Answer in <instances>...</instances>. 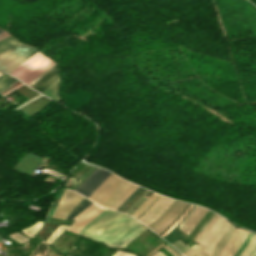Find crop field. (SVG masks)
<instances>
[{"label": "crop field", "instance_id": "obj_9", "mask_svg": "<svg viewBox=\"0 0 256 256\" xmlns=\"http://www.w3.org/2000/svg\"><path fill=\"white\" fill-rule=\"evenodd\" d=\"M72 193H73V192H71V191L65 190V192H64V194H63V196H62V198H61V201H60V203H59V205H58V207H57V209H56V211H55V213H54L53 216L58 217V218L61 217V215H62V213H63V211H64V209H65V207H66V205H67V203H68V201H69L71 195H72ZM75 194H76V193H73V195H72V197H71V199H70V201H69V203H68V205H67V207H66V209H65V211H64V213H63V215H62V217H61L62 219L64 218V216H65V214H66V212H67V210H68V208H69V206H70V204H71V202H72V200H73ZM78 196H79V195L76 194V196H75V198H74V200H73V202H72V204H71V206H70V208H69L67 214H69L70 210L73 208V206H74V204H75V202H76ZM79 198H80V196H79ZM79 198H78V200H79ZM83 199H84V198L81 196L79 202H80L81 200H83ZM78 200H77V202H78ZM77 202H76V204H77ZM79 202H78V203H79ZM67 214H66V216H67ZM66 216H65V218H66ZM65 218H64V219H65Z\"/></svg>", "mask_w": 256, "mask_h": 256}, {"label": "crop field", "instance_id": "obj_29", "mask_svg": "<svg viewBox=\"0 0 256 256\" xmlns=\"http://www.w3.org/2000/svg\"><path fill=\"white\" fill-rule=\"evenodd\" d=\"M215 213L212 212V214L209 216V218L206 220V222L204 223V225L202 226V228L200 229V232L201 230L206 226V224L210 221V219L213 217Z\"/></svg>", "mask_w": 256, "mask_h": 256}, {"label": "crop field", "instance_id": "obj_5", "mask_svg": "<svg viewBox=\"0 0 256 256\" xmlns=\"http://www.w3.org/2000/svg\"><path fill=\"white\" fill-rule=\"evenodd\" d=\"M111 174L97 167L76 191L88 198Z\"/></svg>", "mask_w": 256, "mask_h": 256}, {"label": "crop field", "instance_id": "obj_1", "mask_svg": "<svg viewBox=\"0 0 256 256\" xmlns=\"http://www.w3.org/2000/svg\"><path fill=\"white\" fill-rule=\"evenodd\" d=\"M133 218L106 209L79 233L97 241H104L110 247H124L143 230Z\"/></svg>", "mask_w": 256, "mask_h": 256}, {"label": "crop field", "instance_id": "obj_6", "mask_svg": "<svg viewBox=\"0 0 256 256\" xmlns=\"http://www.w3.org/2000/svg\"><path fill=\"white\" fill-rule=\"evenodd\" d=\"M244 230V229H243ZM241 229H237V231L234 233V235L231 237L229 242L224 247L223 251L221 252L220 256H228L234 248L238 245L240 239L242 238L245 231ZM248 234V231L245 232L243 238L241 239L239 245L235 248V250L229 255L233 256V254L238 250V248L242 245L243 241L245 240L246 236ZM256 246V234H254L253 238L251 239L250 243L246 247V249L243 251V253L240 256H248L251 251Z\"/></svg>", "mask_w": 256, "mask_h": 256}, {"label": "crop field", "instance_id": "obj_30", "mask_svg": "<svg viewBox=\"0 0 256 256\" xmlns=\"http://www.w3.org/2000/svg\"><path fill=\"white\" fill-rule=\"evenodd\" d=\"M6 36H8V34L6 32H4V33L0 34V39L4 38Z\"/></svg>", "mask_w": 256, "mask_h": 256}, {"label": "crop field", "instance_id": "obj_22", "mask_svg": "<svg viewBox=\"0 0 256 256\" xmlns=\"http://www.w3.org/2000/svg\"><path fill=\"white\" fill-rule=\"evenodd\" d=\"M174 245L177 249L180 248L181 246L185 245L182 241H177L176 243L172 244ZM189 247H187L186 245L183 246L182 248L178 249L181 253L184 252L186 249H188Z\"/></svg>", "mask_w": 256, "mask_h": 256}, {"label": "crop field", "instance_id": "obj_26", "mask_svg": "<svg viewBox=\"0 0 256 256\" xmlns=\"http://www.w3.org/2000/svg\"><path fill=\"white\" fill-rule=\"evenodd\" d=\"M196 208L197 206H195L194 209L190 212V214L179 224V229L189 219V217L192 215Z\"/></svg>", "mask_w": 256, "mask_h": 256}, {"label": "crop field", "instance_id": "obj_17", "mask_svg": "<svg viewBox=\"0 0 256 256\" xmlns=\"http://www.w3.org/2000/svg\"><path fill=\"white\" fill-rule=\"evenodd\" d=\"M19 43L13 37H9L0 41V52L4 51L5 49Z\"/></svg>", "mask_w": 256, "mask_h": 256}, {"label": "crop field", "instance_id": "obj_32", "mask_svg": "<svg viewBox=\"0 0 256 256\" xmlns=\"http://www.w3.org/2000/svg\"><path fill=\"white\" fill-rule=\"evenodd\" d=\"M255 250H256V248H255ZM255 250H254V251H255ZM254 251H253V253H254ZM253 253H252V254H253ZM252 254H251V255H252ZM251 255H250V256H251ZM255 255H256V253H255L253 256H255Z\"/></svg>", "mask_w": 256, "mask_h": 256}, {"label": "crop field", "instance_id": "obj_8", "mask_svg": "<svg viewBox=\"0 0 256 256\" xmlns=\"http://www.w3.org/2000/svg\"><path fill=\"white\" fill-rule=\"evenodd\" d=\"M177 203H178L177 201L173 202L170 208L167 211H165L155 222H153L148 227L153 230L158 224H160L166 218V216L173 210V208L177 205ZM182 205H183V202H179L178 205L175 207V209L167 216V218L159 226H157L153 231L156 232L160 230L179 211ZM185 206H186V203H184L181 210L159 232H157V234H159L162 230H164L181 213V211L184 209Z\"/></svg>", "mask_w": 256, "mask_h": 256}, {"label": "crop field", "instance_id": "obj_24", "mask_svg": "<svg viewBox=\"0 0 256 256\" xmlns=\"http://www.w3.org/2000/svg\"><path fill=\"white\" fill-rule=\"evenodd\" d=\"M55 63H51L48 67H46L35 79H33L28 85H32L40 76H42L50 67H52Z\"/></svg>", "mask_w": 256, "mask_h": 256}, {"label": "crop field", "instance_id": "obj_13", "mask_svg": "<svg viewBox=\"0 0 256 256\" xmlns=\"http://www.w3.org/2000/svg\"><path fill=\"white\" fill-rule=\"evenodd\" d=\"M236 230V227H234L232 224L231 226L228 228V230L226 231V233L224 234V236L222 237V239L219 241L218 245L216 246V248L214 249L213 253L211 256H218L221 249L225 246V244L228 242V240L230 239V237L232 236V234L234 233V231Z\"/></svg>", "mask_w": 256, "mask_h": 256}, {"label": "crop field", "instance_id": "obj_20", "mask_svg": "<svg viewBox=\"0 0 256 256\" xmlns=\"http://www.w3.org/2000/svg\"><path fill=\"white\" fill-rule=\"evenodd\" d=\"M95 168L92 166L71 188L75 190Z\"/></svg>", "mask_w": 256, "mask_h": 256}, {"label": "crop field", "instance_id": "obj_10", "mask_svg": "<svg viewBox=\"0 0 256 256\" xmlns=\"http://www.w3.org/2000/svg\"><path fill=\"white\" fill-rule=\"evenodd\" d=\"M174 200H170L166 197H163L154 207L153 209L140 221L145 225L151 224L155 221L173 202Z\"/></svg>", "mask_w": 256, "mask_h": 256}, {"label": "crop field", "instance_id": "obj_25", "mask_svg": "<svg viewBox=\"0 0 256 256\" xmlns=\"http://www.w3.org/2000/svg\"><path fill=\"white\" fill-rule=\"evenodd\" d=\"M140 189L141 187H139L117 210L120 211Z\"/></svg>", "mask_w": 256, "mask_h": 256}, {"label": "crop field", "instance_id": "obj_31", "mask_svg": "<svg viewBox=\"0 0 256 256\" xmlns=\"http://www.w3.org/2000/svg\"><path fill=\"white\" fill-rule=\"evenodd\" d=\"M155 256H166V255L161 253V252H159V253L155 254Z\"/></svg>", "mask_w": 256, "mask_h": 256}, {"label": "crop field", "instance_id": "obj_23", "mask_svg": "<svg viewBox=\"0 0 256 256\" xmlns=\"http://www.w3.org/2000/svg\"><path fill=\"white\" fill-rule=\"evenodd\" d=\"M148 192V190H146L126 211L125 213H129L132 208L143 198V196Z\"/></svg>", "mask_w": 256, "mask_h": 256}, {"label": "crop field", "instance_id": "obj_16", "mask_svg": "<svg viewBox=\"0 0 256 256\" xmlns=\"http://www.w3.org/2000/svg\"><path fill=\"white\" fill-rule=\"evenodd\" d=\"M17 80L9 75L8 76L5 74L1 75L0 76V92L5 88L9 87L10 85H12L13 83H15Z\"/></svg>", "mask_w": 256, "mask_h": 256}, {"label": "crop field", "instance_id": "obj_18", "mask_svg": "<svg viewBox=\"0 0 256 256\" xmlns=\"http://www.w3.org/2000/svg\"><path fill=\"white\" fill-rule=\"evenodd\" d=\"M43 222L41 221H38L36 224L26 228V229H23L22 232L29 236V237H32L33 234L42 226Z\"/></svg>", "mask_w": 256, "mask_h": 256}, {"label": "crop field", "instance_id": "obj_7", "mask_svg": "<svg viewBox=\"0 0 256 256\" xmlns=\"http://www.w3.org/2000/svg\"><path fill=\"white\" fill-rule=\"evenodd\" d=\"M104 208H100L95 204H91L85 210H83L78 216L74 218L76 220L71 227H69L66 231L78 234L80 230L92 219H94L97 215H99Z\"/></svg>", "mask_w": 256, "mask_h": 256}, {"label": "crop field", "instance_id": "obj_2", "mask_svg": "<svg viewBox=\"0 0 256 256\" xmlns=\"http://www.w3.org/2000/svg\"><path fill=\"white\" fill-rule=\"evenodd\" d=\"M137 188L112 174L89 199L116 210Z\"/></svg>", "mask_w": 256, "mask_h": 256}, {"label": "crop field", "instance_id": "obj_27", "mask_svg": "<svg viewBox=\"0 0 256 256\" xmlns=\"http://www.w3.org/2000/svg\"><path fill=\"white\" fill-rule=\"evenodd\" d=\"M113 256H133L132 254H128L127 252L118 251Z\"/></svg>", "mask_w": 256, "mask_h": 256}, {"label": "crop field", "instance_id": "obj_28", "mask_svg": "<svg viewBox=\"0 0 256 256\" xmlns=\"http://www.w3.org/2000/svg\"><path fill=\"white\" fill-rule=\"evenodd\" d=\"M165 248L167 251H169L173 256H179L173 249H171L168 245L163 247Z\"/></svg>", "mask_w": 256, "mask_h": 256}, {"label": "crop field", "instance_id": "obj_4", "mask_svg": "<svg viewBox=\"0 0 256 256\" xmlns=\"http://www.w3.org/2000/svg\"><path fill=\"white\" fill-rule=\"evenodd\" d=\"M37 51L20 43L0 53V69L10 73Z\"/></svg>", "mask_w": 256, "mask_h": 256}, {"label": "crop field", "instance_id": "obj_21", "mask_svg": "<svg viewBox=\"0 0 256 256\" xmlns=\"http://www.w3.org/2000/svg\"><path fill=\"white\" fill-rule=\"evenodd\" d=\"M9 237L21 242V243H24L26 242L27 240H29V238L25 237V236H22L20 233H15V234H11L9 235ZM18 242V243H19Z\"/></svg>", "mask_w": 256, "mask_h": 256}, {"label": "crop field", "instance_id": "obj_12", "mask_svg": "<svg viewBox=\"0 0 256 256\" xmlns=\"http://www.w3.org/2000/svg\"><path fill=\"white\" fill-rule=\"evenodd\" d=\"M200 207H198L197 208V210L194 212V214L190 217V219L188 220V222H190L196 215H197V213L200 211ZM208 210H206V209H204V208H202V210L199 212V214L188 224V222H186L185 223V225L180 229V230H184V228L187 226V224H188V226L185 228V230L183 231V232H185L186 233V235L184 236V238L186 237V236H188L189 235V233H190V231L192 230V229H194L195 228V226L199 223V221L202 219V217L206 214V212H207ZM183 238V239H184ZM182 239V240H183Z\"/></svg>", "mask_w": 256, "mask_h": 256}, {"label": "crop field", "instance_id": "obj_3", "mask_svg": "<svg viewBox=\"0 0 256 256\" xmlns=\"http://www.w3.org/2000/svg\"><path fill=\"white\" fill-rule=\"evenodd\" d=\"M217 217H218V215H214V217L211 219V221L208 223V225L203 229V231L200 233V235L198 236V238L196 239V242H199V241H201V239L203 238V236L206 234V232L208 231V229L211 227V225L214 223V221L217 219ZM223 219L224 218H222V217H220L219 216V218L216 220V222L213 224V226L210 228V230L207 232V234L205 235V237L202 239V241L200 242L201 244L198 246V248H197V245H195V246H193L192 248H190L188 251H186L185 253H183L184 254V256L185 255H187L188 253H190L192 250H194L195 248H197V249H195L194 251H192L190 254H188L187 256H193L194 254H196L199 250H201L204 246H205V244L207 243V241L209 240V238L212 236V234L214 233V231L217 229V227L220 225V223L223 221ZM225 220V219H224ZM227 222L228 221H226L225 220V222L222 224V226L219 228V230L216 232V234L213 236V238L210 240V242L208 243V245H207V248H206V246L200 251V252H198L195 256H203V255H205L207 252H208V250H209V248H210V246H211V244H212V242L214 241V239L216 238V236L220 233V231L224 228V226L227 224ZM231 223H229L228 222V224L225 226V228L221 231V233L217 236V238L215 239V241L213 242V244H212V247H211V249H210V253L212 252V250H213V248H214V246H215V244L217 243V241L220 239V237L222 236V234L225 232V230L229 227V225H230ZM205 248H206V250H205ZM207 251V252H205V251ZM211 254H209V253H207L205 256H210Z\"/></svg>", "mask_w": 256, "mask_h": 256}, {"label": "crop field", "instance_id": "obj_11", "mask_svg": "<svg viewBox=\"0 0 256 256\" xmlns=\"http://www.w3.org/2000/svg\"><path fill=\"white\" fill-rule=\"evenodd\" d=\"M58 76H59V69H58L57 65L55 64L42 77H40L31 87L42 92Z\"/></svg>", "mask_w": 256, "mask_h": 256}, {"label": "crop field", "instance_id": "obj_14", "mask_svg": "<svg viewBox=\"0 0 256 256\" xmlns=\"http://www.w3.org/2000/svg\"><path fill=\"white\" fill-rule=\"evenodd\" d=\"M60 78H58L55 82H53L46 90L42 93L47 96L53 98L54 100L60 102V97L58 95V86H59Z\"/></svg>", "mask_w": 256, "mask_h": 256}, {"label": "crop field", "instance_id": "obj_15", "mask_svg": "<svg viewBox=\"0 0 256 256\" xmlns=\"http://www.w3.org/2000/svg\"><path fill=\"white\" fill-rule=\"evenodd\" d=\"M87 199H84L81 203H79L74 209L70 212L69 216L67 219H72L74 218L80 211H82L84 208H86L89 204H91Z\"/></svg>", "mask_w": 256, "mask_h": 256}, {"label": "crop field", "instance_id": "obj_19", "mask_svg": "<svg viewBox=\"0 0 256 256\" xmlns=\"http://www.w3.org/2000/svg\"><path fill=\"white\" fill-rule=\"evenodd\" d=\"M68 228V226H62V225H59L58 228L55 230V232L46 240V242H48L49 244L54 241L58 236L59 234L64 230Z\"/></svg>", "mask_w": 256, "mask_h": 256}, {"label": "crop field", "instance_id": "obj_33", "mask_svg": "<svg viewBox=\"0 0 256 256\" xmlns=\"http://www.w3.org/2000/svg\"><path fill=\"white\" fill-rule=\"evenodd\" d=\"M3 32V31H0V33Z\"/></svg>", "mask_w": 256, "mask_h": 256}, {"label": "crop field", "instance_id": "obj_34", "mask_svg": "<svg viewBox=\"0 0 256 256\" xmlns=\"http://www.w3.org/2000/svg\"><path fill=\"white\" fill-rule=\"evenodd\" d=\"M2 73H0V75H1Z\"/></svg>", "mask_w": 256, "mask_h": 256}]
</instances>
